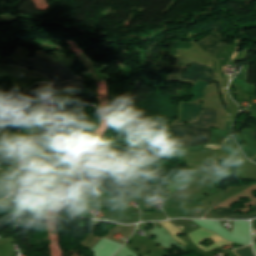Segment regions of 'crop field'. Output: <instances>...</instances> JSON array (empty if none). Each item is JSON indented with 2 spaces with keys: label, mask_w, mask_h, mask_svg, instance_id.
<instances>
[{
  "label": "crop field",
  "mask_w": 256,
  "mask_h": 256,
  "mask_svg": "<svg viewBox=\"0 0 256 256\" xmlns=\"http://www.w3.org/2000/svg\"><path fill=\"white\" fill-rule=\"evenodd\" d=\"M171 234V236L180 244H182L183 246L186 245L187 243H185L183 240H181L180 238L177 237L176 234L182 232L179 229L175 228L170 222H164L161 223Z\"/></svg>",
  "instance_id": "13"
},
{
  "label": "crop field",
  "mask_w": 256,
  "mask_h": 256,
  "mask_svg": "<svg viewBox=\"0 0 256 256\" xmlns=\"http://www.w3.org/2000/svg\"><path fill=\"white\" fill-rule=\"evenodd\" d=\"M203 105L182 103L181 118L177 123L192 121L198 118Z\"/></svg>",
  "instance_id": "8"
},
{
  "label": "crop field",
  "mask_w": 256,
  "mask_h": 256,
  "mask_svg": "<svg viewBox=\"0 0 256 256\" xmlns=\"http://www.w3.org/2000/svg\"><path fill=\"white\" fill-rule=\"evenodd\" d=\"M233 82H235L236 84L241 86L242 89H244L246 92H249V88H250L249 84H246V83L242 82L241 80H239L237 78Z\"/></svg>",
  "instance_id": "18"
},
{
  "label": "crop field",
  "mask_w": 256,
  "mask_h": 256,
  "mask_svg": "<svg viewBox=\"0 0 256 256\" xmlns=\"http://www.w3.org/2000/svg\"><path fill=\"white\" fill-rule=\"evenodd\" d=\"M214 122H215V111L204 108V111L201 114L199 120L195 122H190L189 124L198 126L200 128L210 129V127L214 126Z\"/></svg>",
  "instance_id": "10"
},
{
  "label": "crop field",
  "mask_w": 256,
  "mask_h": 256,
  "mask_svg": "<svg viewBox=\"0 0 256 256\" xmlns=\"http://www.w3.org/2000/svg\"><path fill=\"white\" fill-rule=\"evenodd\" d=\"M206 85H207V82L197 80V82L192 87V89L189 93L190 95H193V99L190 101H193V100L203 96V92H204Z\"/></svg>",
  "instance_id": "12"
},
{
  "label": "crop field",
  "mask_w": 256,
  "mask_h": 256,
  "mask_svg": "<svg viewBox=\"0 0 256 256\" xmlns=\"http://www.w3.org/2000/svg\"><path fill=\"white\" fill-rule=\"evenodd\" d=\"M252 209H253L254 212L251 213V214H248V215L236 214L234 212V210H232V209L215 208V209H211V210L216 212L220 216L225 217V218L248 219V218H252V217L256 216V204Z\"/></svg>",
  "instance_id": "11"
},
{
  "label": "crop field",
  "mask_w": 256,
  "mask_h": 256,
  "mask_svg": "<svg viewBox=\"0 0 256 256\" xmlns=\"http://www.w3.org/2000/svg\"><path fill=\"white\" fill-rule=\"evenodd\" d=\"M11 159L0 151V165H10Z\"/></svg>",
  "instance_id": "17"
},
{
  "label": "crop field",
  "mask_w": 256,
  "mask_h": 256,
  "mask_svg": "<svg viewBox=\"0 0 256 256\" xmlns=\"http://www.w3.org/2000/svg\"><path fill=\"white\" fill-rule=\"evenodd\" d=\"M46 180V177H40L26 205L36 206L47 199L50 193L46 187Z\"/></svg>",
  "instance_id": "6"
},
{
  "label": "crop field",
  "mask_w": 256,
  "mask_h": 256,
  "mask_svg": "<svg viewBox=\"0 0 256 256\" xmlns=\"http://www.w3.org/2000/svg\"><path fill=\"white\" fill-rule=\"evenodd\" d=\"M252 161L256 162V158H254Z\"/></svg>",
  "instance_id": "20"
},
{
  "label": "crop field",
  "mask_w": 256,
  "mask_h": 256,
  "mask_svg": "<svg viewBox=\"0 0 256 256\" xmlns=\"http://www.w3.org/2000/svg\"><path fill=\"white\" fill-rule=\"evenodd\" d=\"M38 86L39 83L26 89L13 106H9V103L1 105L4 128L15 132L18 127L30 124L31 117L28 113L34 109L36 98L33 96Z\"/></svg>",
  "instance_id": "1"
},
{
  "label": "crop field",
  "mask_w": 256,
  "mask_h": 256,
  "mask_svg": "<svg viewBox=\"0 0 256 256\" xmlns=\"http://www.w3.org/2000/svg\"><path fill=\"white\" fill-rule=\"evenodd\" d=\"M74 85H83V81L81 79H78V80H74V81H70L62 84L51 85L50 91L58 90V89H62V88L74 86Z\"/></svg>",
  "instance_id": "14"
},
{
  "label": "crop field",
  "mask_w": 256,
  "mask_h": 256,
  "mask_svg": "<svg viewBox=\"0 0 256 256\" xmlns=\"http://www.w3.org/2000/svg\"><path fill=\"white\" fill-rule=\"evenodd\" d=\"M222 35L221 34H212L209 37L199 41L197 43V45L205 52L209 53L212 57H214V55L217 53V51L219 50V48L222 46ZM221 42V43H219ZM218 44V46L216 47V44ZM208 54V55H209Z\"/></svg>",
  "instance_id": "7"
},
{
  "label": "crop field",
  "mask_w": 256,
  "mask_h": 256,
  "mask_svg": "<svg viewBox=\"0 0 256 256\" xmlns=\"http://www.w3.org/2000/svg\"><path fill=\"white\" fill-rule=\"evenodd\" d=\"M15 177V172H7L6 178H0V198H8L11 196Z\"/></svg>",
  "instance_id": "9"
},
{
  "label": "crop field",
  "mask_w": 256,
  "mask_h": 256,
  "mask_svg": "<svg viewBox=\"0 0 256 256\" xmlns=\"http://www.w3.org/2000/svg\"><path fill=\"white\" fill-rule=\"evenodd\" d=\"M188 235H189L191 241L193 242V244L199 246L200 248H202L205 251H209V250H212V249H215V248H218V247H221V246H224V245L230 243V242H227V241L223 240L222 238L216 236L217 234L215 235L214 233L206 231L202 228H198V229L188 233ZM209 237L211 239H213L216 243L211 244L207 247L199 244L200 242L204 241L205 239H207Z\"/></svg>",
  "instance_id": "5"
},
{
  "label": "crop field",
  "mask_w": 256,
  "mask_h": 256,
  "mask_svg": "<svg viewBox=\"0 0 256 256\" xmlns=\"http://www.w3.org/2000/svg\"><path fill=\"white\" fill-rule=\"evenodd\" d=\"M3 62L35 70L47 76L51 84L60 83L77 78L74 74L68 72L66 68L38 57L34 60L20 58L19 62L11 61L4 58Z\"/></svg>",
  "instance_id": "2"
},
{
  "label": "crop field",
  "mask_w": 256,
  "mask_h": 256,
  "mask_svg": "<svg viewBox=\"0 0 256 256\" xmlns=\"http://www.w3.org/2000/svg\"><path fill=\"white\" fill-rule=\"evenodd\" d=\"M144 190H145V189H142V188L139 187V185H136V184H135L134 187H133V189H132V191H131V192H133V193H130V194L128 195V197H129V198H134V199L140 200L141 197H142V194H143Z\"/></svg>",
  "instance_id": "15"
},
{
  "label": "crop field",
  "mask_w": 256,
  "mask_h": 256,
  "mask_svg": "<svg viewBox=\"0 0 256 256\" xmlns=\"http://www.w3.org/2000/svg\"><path fill=\"white\" fill-rule=\"evenodd\" d=\"M233 251V250H232ZM234 251L239 255V256H254L252 251H251V245L249 246H245V247H242V248H238V249H234ZM233 251V252H234ZM234 252V253H235ZM235 253V254H236ZM236 254V255H237ZM237 255V256H238Z\"/></svg>",
  "instance_id": "16"
},
{
  "label": "crop field",
  "mask_w": 256,
  "mask_h": 256,
  "mask_svg": "<svg viewBox=\"0 0 256 256\" xmlns=\"http://www.w3.org/2000/svg\"><path fill=\"white\" fill-rule=\"evenodd\" d=\"M253 135H254L255 140H256V130L253 131Z\"/></svg>",
  "instance_id": "19"
},
{
  "label": "crop field",
  "mask_w": 256,
  "mask_h": 256,
  "mask_svg": "<svg viewBox=\"0 0 256 256\" xmlns=\"http://www.w3.org/2000/svg\"><path fill=\"white\" fill-rule=\"evenodd\" d=\"M172 140L169 142L178 146H195L210 141L212 130H204L185 124L168 126Z\"/></svg>",
  "instance_id": "3"
},
{
  "label": "crop field",
  "mask_w": 256,
  "mask_h": 256,
  "mask_svg": "<svg viewBox=\"0 0 256 256\" xmlns=\"http://www.w3.org/2000/svg\"><path fill=\"white\" fill-rule=\"evenodd\" d=\"M192 63V66L183 74L181 78L179 77L178 79L192 82H195L197 79L207 82L215 80L216 75L212 72L211 67L195 62Z\"/></svg>",
  "instance_id": "4"
}]
</instances>
